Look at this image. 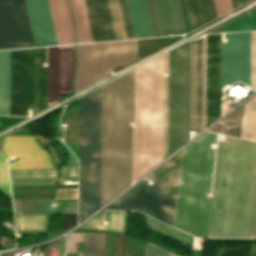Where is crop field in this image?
I'll list each match as a JSON object with an SVG mask.
<instances>
[{
	"label": "crop field",
	"instance_id": "obj_1",
	"mask_svg": "<svg viewBox=\"0 0 256 256\" xmlns=\"http://www.w3.org/2000/svg\"><path fill=\"white\" fill-rule=\"evenodd\" d=\"M256 143L218 141L208 237H254Z\"/></svg>",
	"mask_w": 256,
	"mask_h": 256
},
{
	"label": "crop field",
	"instance_id": "obj_2",
	"mask_svg": "<svg viewBox=\"0 0 256 256\" xmlns=\"http://www.w3.org/2000/svg\"><path fill=\"white\" fill-rule=\"evenodd\" d=\"M102 86L101 205L131 183L134 70Z\"/></svg>",
	"mask_w": 256,
	"mask_h": 256
},
{
	"label": "crop field",
	"instance_id": "obj_3",
	"mask_svg": "<svg viewBox=\"0 0 256 256\" xmlns=\"http://www.w3.org/2000/svg\"><path fill=\"white\" fill-rule=\"evenodd\" d=\"M167 95L163 55L135 68L134 180L167 157Z\"/></svg>",
	"mask_w": 256,
	"mask_h": 256
},
{
	"label": "crop field",
	"instance_id": "obj_4",
	"mask_svg": "<svg viewBox=\"0 0 256 256\" xmlns=\"http://www.w3.org/2000/svg\"><path fill=\"white\" fill-rule=\"evenodd\" d=\"M216 134L205 132L183 149L174 226L207 237Z\"/></svg>",
	"mask_w": 256,
	"mask_h": 256
},
{
	"label": "crop field",
	"instance_id": "obj_5",
	"mask_svg": "<svg viewBox=\"0 0 256 256\" xmlns=\"http://www.w3.org/2000/svg\"><path fill=\"white\" fill-rule=\"evenodd\" d=\"M101 87L80 98L79 222L100 207Z\"/></svg>",
	"mask_w": 256,
	"mask_h": 256
},
{
	"label": "crop field",
	"instance_id": "obj_6",
	"mask_svg": "<svg viewBox=\"0 0 256 256\" xmlns=\"http://www.w3.org/2000/svg\"><path fill=\"white\" fill-rule=\"evenodd\" d=\"M182 151L110 204V209H136L173 226Z\"/></svg>",
	"mask_w": 256,
	"mask_h": 256
},
{
	"label": "crop field",
	"instance_id": "obj_7",
	"mask_svg": "<svg viewBox=\"0 0 256 256\" xmlns=\"http://www.w3.org/2000/svg\"><path fill=\"white\" fill-rule=\"evenodd\" d=\"M45 48L23 49L22 115L47 107ZM22 50L10 51V115H21Z\"/></svg>",
	"mask_w": 256,
	"mask_h": 256
},
{
	"label": "crop field",
	"instance_id": "obj_8",
	"mask_svg": "<svg viewBox=\"0 0 256 256\" xmlns=\"http://www.w3.org/2000/svg\"><path fill=\"white\" fill-rule=\"evenodd\" d=\"M190 42L180 46L179 147L189 141ZM179 47L169 52L168 155L178 149Z\"/></svg>",
	"mask_w": 256,
	"mask_h": 256
},
{
	"label": "crop field",
	"instance_id": "obj_9",
	"mask_svg": "<svg viewBox=\"0 0 256 256\" xmlns=\"http://www.w3.org/2000/svg\"><path fill=\"white\" fill-rule=\"evenodd\" d=\"M137 59V40L77 45L75 92Z\"/></svg>",
	"mask_w": 256,
	"mask_h": 256
},
{
	"label": "crop field",
	"instance_id": "obj_10",
	"mask_svg": "<svg viewBox=\"0 0 256 256\" xmlns=\"http://www.w3.org/2000/svg\"><path fill=\"white\" fill-rule=\"evenodd\" d=\"M32 46L25 0H0V49Z\"/></svg>",
	"mask_w": 256,
	"mask_h": 256
},
{
	"label": "crop field",
	"instance_id": "obj_11",
	"mask_svg": "<svg viewBox=\"0 0 256 256\" xmlns=\"http://www.w3.org/2000/svg\"><path fill=\"white\" fill-rule=\"evenodd\" d=\"M222 43V87L237 80L250 86V32L224 34Z\"/></svg>",
	"mask_w": 256,
	"mask_h": 256
},
{
	"label": "crop field",
	"instance_id": "obj_12",
	"mask_svg": "<svg viewBox=\"0 0 256 256\" xmlns=\"http://www.w3.org/2000/svg\"><path fill=\"white\" fill-rule=\"evenodd\" d=\"M75 45L48 47V107L73 91Z\"/></svg>",
	"mask_w": 256,
	"mask_h": 256
},
{
	"label": "crop field",
	"instance_id": "obj_13",
	"mask_svg": "<svg viewBox=\"0 0 256 256\" xmlns=\"http://www.w3.org/2000/svg\"><path fill=\"white\" fill-rule=\"evenodd\" d=\"M221 116V34L207 36L206 126Z\"/></svg>",
	"mask_w": 256,
	"mask_h": 256
},
{
	"label": "crop field",
	"instance_id": "obj_14",
	"mask_svg": "<svg viewBox=\"0 0 256 256\" xmlns=\"http://www.w3.org/2000/svg\"><path fill=\"white\" fill-rule=\"evenodd\" d=\"M2 154L16 159L9 162L10 169L54 168L46 151L31 136L7 137Z\"/></svg>",
	"mask_w": 256,
	"mask_h": 256
},
{
	"label": "crop field",
	"instance_id": "obj_15",
	"mask_svg": "<svg viewBox=\"0 0 256 256\" xmlns=\"http://www.w3.org/2000/svg\"><path fill=\"white\" fill-rule=\"evenodd\" d=\"M35 46L57 44L48 0H26Z\"/></svg>",
	"mask_w": 256,
	"mask_h": 256
},
{
	"label": "crop field",
	"instance_id": "obj_16",
	"mask_svg": "<svg viewBox=\"0 0 256 256\" xmlns=\"http://www.w3.org/2000/svg\"><path fill=\"white\" fill-rule=\"evenodd\" d=\"M93 41L116 39L108 0H85Z\"/></svg>",
	"mask_w": 256,
	"mask_h": 256
},
{
	"label": "crop field",
	"instance_id": "obj_17",
	"mask_svg": "<svg viewBox=\"0 0 256 256\" xmlns=\"http://www.w3.org/2000/svg\"><path fill=\"white\" fill-rule=\"evenodd\" d=\"M160 36L186 33L179 0H153Z\"/></svg>",
	"mask_w": 256,
	"mask_h": 256
},
{
	"label": "crop field",
	"instance_id": "obj_18",
	"mask_svg": "<svg viewBox=\"0 0 256 256\" xmlns=\"http://www.w3.org/2000/svg\"><path fill=\"white\" fill-rule=\"evenodd\" d=\"M248 0H231L233 9ZM230 0H215L217 15L232 10ZM194 29L217 18L214 0H188Z\"/></svg>",
	"mask_w": 256,
	"mask_h": 256
},
{
	"label": "crop field",
	"instance_id": "obj_19",
	"mask_svg": "<svg viewBox=\"0 0 256 256\" xmlns=\"http://www.w3.org/2000/svg\"><path fill=\"white\" fill-rule=\"evenodd\" d=\"M15 214L77 213V199L16 201Z\"/></svg>",
	"mask_w": 256,
	"mask_h": 256
},
{
	"label": "crop field",
	"instance_id": "obj_20",
	"mask_svg": "<svg viewBox=\"0 0 256 256\" xmlns=\"http://www.w3.org/2000/svg\"><path fill=\"white\" fill-rule=\"evenodd\" d=\"M58 44L75 43L68 0H49Z\"/></svg>",
	"mask_w": 256,
	"mask_h": 256
},
{
	"label": "crop field",
	"instance_id": "obj_21",
	"mask_svg": "<svg viewBox=\"0 0 256 256\" xmlns=\"http://www.w3.org/2000/svg\"><path fill=\"white\" fill-rule=\"evenodd\" d=\"M134 36H153L145 0H127Z\"/></svg>",
	"mask_w": 256,
	"mask_h": 256
},
{
	"label": "crop field",
	"instance_id": "obj_22",
	"mask_svg": "<svg viewBox=\"0 0 256 256\" xmlns=\"http://www.w3.org/2000/svg\"><path fill=\"white\" fill-rule=\"evenodd\" d=\"M77 43L92 41L83 0H69Z\"/></svg>",
	"mask_w": 256,
	"mask_h": 256
},
{
	"label": "crop field",
	"instance_id": "obj_23",
	"mask_svg": "<svg viewBox=\"0 0 256 256\" xmlns=\"http://www.w3.org/2000/svg\"><path fill=\"white\" fill-rule=\"evenodd\" d=\"M0 115H9V51L0 52Z\"/></svg>",
	"mask_w": 256,
	"mask_h": 256
},
{
	"label": "crop field",
	"instance_id": "obj_24",
	"mask_svg": "<svg viewBox=\"0 0 256 256\" xmlns=\"http://www.w3.org/2000/svg\"><path fill=\"white\" fill-rule=\"evenodd\" d=\"M243 107L244 105L232 112L210 130L240 138Z\"/></svg>",
	"mask_w": 256,
	"mask_h": 256
},
{
	"label": "crop field",
	"instance_id": "obj_25",
	"mask_svg": "<svg viewBox=\"0 0 256 256\" xmlns=\"http://www.w3.org/2000/svg\"><path fill=\"white\" fill-rule=\"evenodd\" d=\"M241 138L256 141V96L245 103Z\"/></svg>",
	"mask_w": 256,
	"mask_h": 256
},
{
	"label": "crop field",
	"instance_id": "obj_26",
	"mask_svg": "<svg viewBox=\"0 0 256 256\" xmlns=\"http://www.w3.org/2000/svg\"><path fill=\"white\" fill-rule=\"evenodd\" d=\"M197 43V41H191ZM197 44H191L190 125L196 126ZM190 128L196 129V127Z\"/></svg>",
	"mask_w": 256,
	"mask_h": 256
},
{
	"label": "crop field",
	"instance_id": "obj_27",
	"mask_svg": "<svg viewBox=\"0 0 256 256\" xmlns=\"http://www.w3.org/2000/svg\"><path fill=\"white\" fill-rule=\"evenodd\" d=\"M256 30V12H248L222 26V32Z\"/></svg>",
	"mask_w": 256,
	"mask_h": 256
},
{
	"label": "crop field",
	"instance_id": "obj_28",
	"mask_svg": "<svg viewBox=\"0 0 256 256\" xmlns=\"http://www.w3.org/2000/svg\"><path fill=\"white\" fill-rule=\"evenodd\" d=\"M109 3H110L113 23L115 27L116 37L117 39H124L123 32H125V27H124L119 0H109ZM125 36H126V32H125Z\"/></svg>",
	"mask_w": 256,
	"mask_h": 256
},
{
	"label": "crop field",
	"instance_id": "obj_29",
	"mask_svg": "<svg viewBox=\"0 0 256 256\" xmlns=\"http://www.w3.org/2000/svg\"><path fill=\"white\" fill-rule=\"evenodd\" d=\"M105 235L88 234L86 256H103Z\"/></svg>",
	"mask_w": 256,
	"mask_h": 256
},
{
	"label": "crop field",
	"instance_id": "obj_30",
	"mask_svg": "<svg viewBox=\"0 0 256 256\" xmlns=\"http://www.w3.org/2000/svg\"><path fill=\"white\" fill-rule=\"evenodd\" d=\"M87 234L70 233L67 240L66 252H75L76 241L82 242L81 256H85Z\"/></svg>",
	"mask_w": 256,
	"mask_h": 256
},
{
	"label": "crop field",
	"instance_id": "obj_31",
	"mask_svg": "<svg viewBox=\"0 0 256 256\" xmlns=\"http://www.w3.org/2000/svg\"><path fill=\"white\" fill-rule=\"evenodd\" d=\"M146 243L127 238L126 256H145Z\"/></svg>",
	"mask_w": 256,
	"mask_h": 256
},
{
	"label": "crop field",
	"instance_id": "obj_32",
	"mask_svg": "<svg viewBox=\"0 0 256 256\" xmlns=\"http://www.w3.org/2000/svg\"><path fill=\"white\" fill-rule=\"evenodd\" d=\"M0 189L10 195L9 176L6 160L0 155Z\"/></svg>",
	"mask_w": 256,
	"mask_h": 256
},
{
	"label": "crop field",
	"instance_id": "obj_33",
	"mask_svg": "<svg viewBox=\"0 0 256 256\" xmlns=\"http://www.w3.org/2000/svg\"><path fill=\"white\" fill-rule=\"evenodd\" d=\"M57 178L11 179L12 185L56 184Z\"/></svg>",
	"mask_w": 256,
	"mask_h": 256
},
{
	"label": "crop field",
	"instance_id": "obj_34",
	"mask_svg": "<svg viewBox=\"0 0 256 256\" xmlns=\"http://www.w3.org/2000/svg\"><path fill=\"white\" fill-rule=\"evenodd\" d=\"M251 245L221 249L220 256L250 255Z\"/></svg>",
	"mask_w": 256,
	"mask_h": 256
},
{
	"label": "crop field",
	"instance_id": "obj_35",
	"mask_svg": "<svg viewBox=\"0 0 256 256\" xmlns=\"http://www.w3.org/2000/svg\"><path fill=\"white\" fill-rule=\"evenodd\" d=\"M200 53L201 38L198 39L197 133L200 132Z\"/></svg>",
	"mask_w": 256,
	"mask_h": 256
},
{
	"label": "crop field",
	"instance_id": "obj_36",
	"mask_svg": "<svg viewBox=\"0 0 256 256\" xmlns=\"http://www.w3.org/2000/svg\"><path fill=\"white\" fill-rule=\"evenodd\" d=\"M252 87L256 88V32H251Z\"/></svg>",
	"mask_w": 256,
	"mask_h": 256
},
{
	"label": "crop field",
	"instance_id": "obj_37",
	"mask_svg": "<svg viewBox=\"0 0 256 256\" xmlns=\"http://www.w3.org/2000/svg\"><path fill=\"white\" fill-rule=\"evenodd\" d=\"M203 108H204V38H202V54H201V130H203Z\"/></svg>",
	"mask_w": 256,
	"mask_h": 256
},
{
	"label": "crop field",
	"instance_id": "obj_38",
	"mask_svg": "<svg viewBox=\"0 0 256 256\" xmlns=\"http://www.w3.org/2000/svg\"><path fill=\"white\" fill-rule=\"evenodd\" d=\"M128 38H134L126 0H120Z\"/></svg>",
	"mask_w": 256,
	"mask_h": 256
},
{
	"label": "crop field",
	"instance_id": "obj_39",
	"mask_svg": "<svg viewBox=\"0 0 256 256\" xmlns=\"http://www.w3.org/2000/svg\"><path fill=\"white\" fill-rule=\"evenodd\" d=\"M77 214H62L59 230L69 229L76 225Z\"/></svg>",
	"mask_w": 256,
	"mask_h": 256
},
{
	"label": "crop field",
	"instance_id": "obj_40",
	"mask_svg": "<svg viewBox=\"0 0 256 256\" xmlns=\"http://www.w3.org/2000/svg\"><path fill=\"white\" fill-rule=\"evenodd\" d=\"M146 256H170V252L150 243H147Z\"/></svg>",
	"mask_w": 256,
	"mask_h": 256
},
{
	"label": "crop field",
	"instance_id": "obj_41",
	"mask_svg": "<svg viewBox=\"0 0 256 256\" xmlns=\"http://www.w3.org/2000/svg\"><path fill=\"white\" fill-rule=\"evenodd\" d=\"M56 139L59 141V143L63 146V148L66 150L69 156L68 164L67 165H72V164H77V160L75 156L71 153V151L60 141L58 136H55Z\"/></svg>",
	"mask_w": 256,
	"mask_h": 256
},
{
	"label": "crop field",
	"instance_id": "obj_42",
	"mask_svg": "<svg viewBox=\"0 0 256 256\" xmlns=\"http://www.w3.org/2000/svg\"><path fill=\"white\" fill-rule=\"evenodd\" d=\"M64 180H71V182H73V181H77V177L60 178L59 184H64Z\"/></svg>",
	"mask_w": 256,
	"mask_h": 256
},
{
	"label": "crop field",
	"instance_id": "obj_43",
	"mask_svg": "<svg viewBox=\"0 0 256 256\" xmlns=\"http://www.w3.org/2000/svg\"><path fill=\"white\" fill-rule=\"evenodd\" d=\"M171 256H176V255L171 254Z\"/></svg>",
	"mask_w": 256,
	"mask_h": 256
},
{
	"label": "crop field",
	"instance_id": "obj_44",
	"mask_svg": "<svg viewBox=\"0 0 256 256\" xmlns=\"http://www.w3.org/2000/svg\"><path fill=\"white\" fill-rule=\"evenodd\" d=\"M255 237H256V233H255Z\"/></svg>",
	"mask_w": 256,
	"mask_h": 256
}]
</instances>
